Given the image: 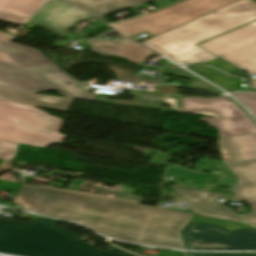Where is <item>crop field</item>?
Segmentation results:
<instances>
[{
	"instance_id": "dd49c442",
	"label": "crop field",
	"mask_w": 256,
	"mask_h": 256,
	"mask_svg": "<svg viewBox=\"0 0 256 256\" xmlns=\"http://www.w3.org/2000/svg\"><path fill=\"white\" fill-rule=\"evenodd\" d=\"M236 1L239 0H186L169 8L111 26L126 37L145 31L156 36Z\"/></svg>"
},
{
	"instance_id": "5142ce71",
	"label": "crop field",
	"mask_w": 256,
	"mask_h": 256,
	"mask_svg": "<svg viewBox=\"0 0 256 256\" xmlns=\"http://www.w3.org/2000/svg\"><path fill=\"white\" fill-rule=\"evenodd\" d=\"M200 121L208 122L210 127H216L220 138L256 132V123L250 117L239 119L201 118Z\"/></svg>"
},
{
	"instance_id": "34b2d1b8",
	"label": "crop field",
	"mask_w": 256,
	"mask_h": 256,
	"mask_svg": "<svg viewBox=\"0 0 256 256\" xmlns=\"http://www.w3.org/2000/svg\"><path fill=\"white\" fill-rule=\"evenodd\" d=\"M0 89L35 93L56 89L64 96L92 101L90 92L35 49L0 40Z\"/></svg>"
},
{
	"instance_id": "214f88e0",
	"label": "crop field",
	"mask_w": 256,
	"mask_h": 256,
	"mask_svg": "<svg viewBox=\"0 0 256 256\" xmlns=\"http://www.w3.org/2000/svg\"><path fill=\"white\" fill-rule=\"evenodd\" d=\"M154 54L155 53L133 43L112 57L123 58L132 64L138 65Z\"/></svg>"
},
{
	"instance_id": "00972430",
	"label": "crop field",
	"mask_w": 256,
	"mask_h": 256,
	"mask_svg": "<svg viewBox=\"0 0 256 256\" xmlns=\"http://www.w3.org/2000/svg\"><path fill=\"white\" fill-rule=\"evenodd\" d=\"M17 146L11 143L0 142V159L14 160Z\"/></svg>"
},
{
	"instance_id": "cbeb9de0",
	"label": "crop field",
	"mask_w": 256,
	"mask_h": 256,
	"mask_svg": "<svg viewBox=\"0 0 256 256\" xmlns=\"http://www.w3.org/2000/svg\"><path fill=\"white\" fill-rule=\"evenodd\" d=\"M0 100L67 112L73 99L0 90Z\"/></svg>"
},
{
	"instance_id": "d8731c3e",
	"label": "crop field",
	"mask_w": 256,
	"mask_h": 256,
	"mask_svg": "<svg viewBox=\"0 0 256 256\" xmlns=\"http://www.w3.org/2000/svg\"><path fill=\"white\" fill-rule=\"evenodd\" d=\"M198 46L256 75V21Z\"/></svg>"
},
{
	"instance_id": "bc2a9ffb",
	"label": "crop field",
	"mask_w": 256,
	"mask_h": 256,
	"mask_svg": "<svg viewBox=\"0 0 256 256\" xmlns=\"http://www.w3.org/2000/svg\"><path fill=\"white\" fill-rule=\"evenodd\" d=\"M105 39H106L105 41H102L98 38H95V39L88 40V42L90 43L93 51L98 52L103 55H109V56L114 55L115 53L119 52L126 46L133 43L125 38H123L117 42L108 37Z\"/></svg>"
},
{
	"instance_id": "5a996713",
	"label": "crop field",
	"mask_w": 256,
	"mask_h": 256,
	"mask_svg": "<svg viewBox=\"0 0 256 256\" xmlns=\"http://www.w3.org/2000/svg\"><path fill=\"white\" fill-rule=\"evenodd\" d=\"M91 19L95 17L64 0H52L30 21L62 36L78 23Z\"/></svg>"
},
{
	"instance_id": "4a817a6b",
	"label": "crop field",
	"mask_w": 256,
	"mask_h": 256,
	"mask_svg": "<svg viewBox=\"0 0 256 256\" xmlns=\"http://www.w3.org/2000/svg\"><path fill=\"white\" fill-rule=\"evenodd\" d=\"M47 0H0V8L29 17Z\"/></svg>"
},
{
	"instance_id": "733c2abd",
	"label": "crop field",
	"mask_w": 256,
	"mask_h": 256,
	"mask_svg": "<svg viewBox=\"0 0 256 256\" xmlns=\"http://www.w3.org/2000/svg\"><path fill=\"white\" fill-rule=\"evenodd\" d=\"M189 69L212 80L215 84L229 92L236 90L247 81L243 82L241 81L242 79L233 78L210 67H189Z\"/></svg>"
},
{
	"instance_id": "eef30255",
	"label": "crop field",
	"mask_w": 256,
	"mask_h": 256,
	"mask_svg": "<svg viewBox=\"0 0 256 256\" xmlns=\"http://www.w3.org/2000/svg\"><path fill=\"white\" fill-rule=\"evenodd\" d=\"M13 38H15V36H12V35L0 32V39H2V40H6V41H10L11 42V40Z\"/></svg>"
},
{
	"instance_id": "a9b5d70f",
	"label": "crop field",
	"mask_w": 256,
	"mask_h": 256,
	"mask_svg": "<svg viewBox=\"0 0 256 256\" xmlns=\"http://www.w3.org/2000/svg\"><path fill=\"white\" fill-rule=\"evenodd\" d=\"M27 17L20 16L0 9V20L21 25Z\"/></svg>"
},
{
	"instance_id": "730fd06b",
	"label": "crop field",
	"mask_w": 256,
	"mask_h": 256,
	"mask_svg": "<svg viewBox=\"0 0 256 256\" xmlns=\"http://www.w3.org/2000/svg\"><path fill=\"white\" fill-rule=\"evenodd\" d=\"M189 256H256V254H195L188 253Z\"/></svg>"
},
{
	"instance_id": "dafd665d",
	"label": "crop field",
	"mask_w": 256,
	"mask_h": 256,
	"mask_svg": "<svg viewBox=\"0 0 256 256\" xmlns=\"http://www.w3.org/2000/svg\"><path fill=\"white\" fill-rule=\"evenodd\" d=\"M233 96L256 115V93H235Z\"/></svg>"
},
{
	"instance_id": "d9b57169",
	"label": "crop field",
	"mask_w": 256,
	"mask_h": 256,
	"mask_svg": "<svg viewBox=\"0 0 256 256\" xmlns=\"http://www.w3.org/2000/svg\"><path fill=\"white\" fill-rule=\"evenodd\" d=\"M102 17L150 0H69Z\"/></svg>"
},
{
	"instance_id": "4177f3b9",
	"label": "crop field",
	"mask_w": 256,
	"mask_h": 256,
	"mask_svg": "<svg viewBox=\"0 0 256 256\" xmlns=\"http://www.w3.org/2000/svg\"><path fill=\"white\" fill-rule=\"evenodd\" d=\"M207 65H212V66H214V67H216V68H218V69H220V70H222L224 72H227L229 74H233V72L235 70L236 71L240 70L236 66H234V65H232V64H230V63H228V62H226V61H224V60H222L220 58L215 60V61H213V62H211V63H209V64H207Z\"/></svg>"
},
{
	"instance_id": "28ad6ade",
	"label": "crop field",
	"mask_w": 256,
	"mask_h": 256,
	"mask_svg": "<svg viewBox=\"0 0 256 256\" xmlns=\"http://www.w3.org/2000/svg\"><path fill=\"white\" fill-rule=\"evenodd\" d=\"M179 193L185 196L189 207L193 210L204 214L230 218L238 221H243V218L226 208L225 203L219 202L220 198L231 199L229 196L207 194L198 191L183 190L175 188Z\"/></svg>"
},
{
	"instance_id": "d1516ede",
	"label": "crop field",
	"mask_w": 256,
	"mask_h": 256,
	"mask_svg": "<svg viewBox=\"0 0 256 256\" xmlns=\"http://www.w3.org/2000/svg\"><path fill=\"white\" fill-rule=\"evenodd\" d=\"M182 111L186 113L199 110L215 112L222 118H239L248 116L227 97L217 98H181Z\"/></svg>"
},
{
	"instance_id": "412701ff",
	"label": "crop field",
	"mask_w": 256,
	"mask_h": 256,
	"mask_svg": "<svg viewBox=\"0 0 256 256\" xmlns=\"http://www.w3.org/2000/svg\"><path fill=\"white\" fill-rule=\"evenodd\" d=\"M58 222L45 217L30 223L0 220V251L27 256H135L113 246L96 250L56 226Z\"/></svg>"
},
{
	"instance_id": "ae1a2a85",
	"label": "crop field",
	"mask_w": 256,
	"mask_h": 256,
	"mask_svg": "<svg viewBox=\"0 0 256 256\" xmlns=\"http://www.w3.org/2000/svg\"><path fill=\"white\" fill-rule=\"evenodd\" d=\"M221 150V153H222V158H225V154H224V150L219 148Z\"/></svg>"
},
{
	"instance_id": "e52e79f7",
	"label": "crop field",
	"mask_w": 256,
	"mask_h": 256,
	"mask_svg": "<svg viewBox=\"0 0 256 256\" xmlns=\"http://www.w3.org/2000/svg\"><path fill=\"white\" fill-rule=\"evenodd\" d=\"M181 234L187 249L256 250L255 228L228 232L219 226L189 222Z\"/></svg>"
},
{
	"instance_id": "f4fd0767",
	"label": "crop field",
	"mask_w": 256,
	"mask_h": 256,
	"mask_svg": "<svg viewBox=\"0 0 256 256\" xmlns=\"http://www.w3.org/2000/svg\"><path fill=\"white\" fill-rule=\"evenodd\" d=\"M62 119L35 107L0 101V141L38 147L60 143Z\"/></svg>"
},
{
	"instance_id": "3316defc",
	"label": "crop field",
	"mask_w": 256,
	"mask_h": 256,
	"mask_svg": "<svg viewBox=\"0 0 256 256\" xmlns=\"http://www.w3.org/2000/svg\"><path fill=\"white\" fill-rule=\"evenodd\" d=\"M227 166L239 179L234 201L250 204L253 212L243 214V217L248 223L256 225V159Z\"/></svg>"
},
{
	"instance_id": "8a807250",
	"label": "crop field",
	"mask_w": 256,
	"mask_h": 256,
	"mask_svg": "<svg viewBox=\"0 0 256 256\" xmlns=\"http://www.w3.org/2000/svg\"><path fill=\"white\" fill-rule=\"evenodd\" d=\"M12 203L40 214L76 221L117 239L179 249H186L180 232L189 221L219 225L228 231L252 227L242 222L28 184H24Z\"/></svg>"
},
{
	"instance_id": "d3111659",
	"label": "crop field",
	"mask_w": 256,
	"mask_h": 256,
	"mask_svg": "<svg viewBox=\"0 0 256 256\" xmlns=\"http://www.w3.org/2000/svg\"><path fill=\"white\" fill-rule=\"evenodd\" d=\"M177 1H180V0H177Z\"/></svg>"
},
{
	"instance_id": "92a150f3",
	"label": "crop field",
	"mask_w": 256,
	"mask_h": 256,
	"mask_svg": "<svg viewBox=\"0 0 256 256\" xmlns=\"http://www.w3.org/2000/svg\"><path fill=\"white\" fill-rule=\"evenodd\" d=\"M161 72H165V73H169V74H173V75H177L183 78H187V79H191L193 80L189 86H193V87H197V88H201L204 90H208V91H212V92H216L219 94V91H217L216 89H214L213 87L209 86L207 83H205L204 81H202L201 79L197 78L196 76L188 73L187 71L175 66V65H170L167 68H165L164 70H162Z\"/></svg>"
},
{
	"instance_id": "22f410ed",
	"label": "crop field",
	"mask_w": 256,
	"mask_h": 256,
	"mask_svg": "<svg viewBox=\"0 0 256 256\" xmlns=\"http://www.w3.org/2000/svg\"><path fill=\"white\" fill-rule=\"evenodd\" d=\"M218 145L225 149V164L256 158V133L219 139Z\"/></svg>"
},
{
	"instance_id": "ac0d7876",
	"label": "crop field",
	"mask_w": 256,
	"mask_h": 256,
	"mask_svg": "<svg viewBox=\"0 0 256 256\" xmlns=\"http://www.w3.org/2000/svg\"><path fill=\"white\" fill-rule=\"evenodd\" d=\"M253 20L256 2L241 0L142 44L182 65L207 63L217 57L195 45Z\"/></svg>"
}]
</instances>
